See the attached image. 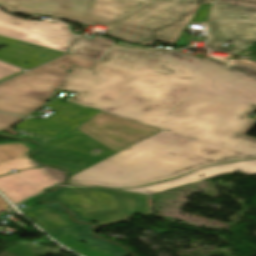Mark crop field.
Segmentation results:
<instances>
[{
    "label": "crop field",
    "mask_w": 256,
    "mask_h": 256,
    "mask_svg": "<svg viewBox=\"0 0 256 256\" xmlns=\"http://www.w3.org/2000/svg\"><path fill=\"white\" fill-rule=\"evenodd\" d=\"M78 129L117 152L161 131L103 112L96 114Z\"/></svg>",
    "instance_id": "e52e79f7"
},
{
    "label": "crop field",
    "mask_w": 256,
    "mask_h": 256,
    "mask_svg": "<svg viewBox=\"0 0 256 256\" xmlns=\"http://www.w3.org/2000/svg\"><path fill=\"white\" fill-rule=\"evenodd\" d=\"M0 60L30 69L63 54V52L0 36ZM29 62L28 65H24Z\"/></svg>",
    "instance_id": "d1516ede"
},
{
    "label": "crop field",
    "mask_w": 256,
    "mask_h": 256,
    "mask_svg": "<svg viewBox=\"0 0 256 256\" xmlns=\"http://www.w3.org/2000/svg\"><path fill=\"white\" fill-rule=\"evenodd\" d=\"M96 61L66 55L0 84V111L31 114L44 105L75 65L92 69ZM63 66L64 69L60 68Z\"/></svg>",
    "instance_id": "34b2d1b8"
},
{
    "label": "crop field",
    "mask_w": 256,
    "mask_h": 256,
    "mask_svg": "<svg viewBox=\"0 0 256 256\" xmlns=\"http://www.w3.org/2000/svg\"><path fill=\"white\" fill-rule=\"evenodd\" d=\"M230 64L249 74L256 75V65L254 64H250L248 62H234V61H231Z\"/></svg>",
    "instance_id": "00972430"
},
{
    "label": "crop field",
    "mask_w": 256,
    "mask_h": 256,
    "mask_svg": "<svg viewBox=\"0 0 256 256\" xmlns=\"http://www.w3.org/2000/svg\"><path fill=\"white\" fill-rule=\"evenodd\" d=\"M65 178L66 172L56 168L26 169L0 177V191L16 204Z\"/></svg>",
    "instance_id": "5a996713"
},
{
    "label": "crop field",
    "mask_w": 256,
    "mask_h": 256,
    "mask_svg": "<svg viewBox=\"0 0 256 256\" xmlns=\"http://www.w3.org/2000/svg\"><path fill=\"white\" fill-rule=\"evenodd\" d=\"M94 148L102 151L91 153ZM115 153L117 152L78 130L41 147L32 155L46 164L67 169L72 176Z\"/></svg>",
    "instance_id": "dd49c442"
},
{
    "label": "crop field",
    "mask_w": 256,
    "mask_h": 256,
    "mask_svg": "<svg viewBox=\"0 0 256 256\" xmlns=\"http://www.w3.org/2000/svg\"><path fill=\"white\" fill-rule=\"evenodd\" d=\"M31 150L21 143L0 145V175L15 169L43 166L28 158Z\"/></svg>",
    "instance_id": "cbeb9de0"
},
{
    "label": "crop field",
    "mask_w": 256,
    "mask_h": 256,
    "mask_svg": "<svg viewBox=\"0 0 256 256\" xmlns=\"http://www.w3.org/2000/svg\"><path fill=\"white\" fill-rule=\"evenodd\" d=\"M88 38L79 37L74 44L71 46L70 54L76 55L77 52L82 48V46L87 42Z\"/></svg>",
    "instance_id": "a9b5d70f"
},
{
    "label": "crop field",
    "mask_w": 256,
    "mask_h": 256,
    "mask_svg": "<svg viewBox=\"0 0 256 256\" xmlns=\"http://www.w3.org/2000/svg\"><path fill=\"white\" fill-rule=\"evenodd\" d=\"M44 200L70 205L76 220L97 222L99 227L127 221L136 214L151 216L146 195L125 191L62 187Z\"/></svg>",
    "instance_id": "412701ff"
},
{
    "label": "crop field",
    "mask_w": 256,
    "mask_h": 256,
    "mask_svg": "<svg viewBox=\"0 0 256 256\" xmlns=\"http://www.w3.org/2000/svg\"><path fill=\"white\" fill-rule=\"evenodd\" d=\"M21 72H23V70L8 66L0 62V82Z\"/></svg>",
    "instance_id": "92a150f3"
},
{
    "label": "crop field",
    "mask_w": 256,
    "mask_h": 256,
    "mask_svg": "<svg viewBox=\"0 0 256 256\" xmlns=\"http://www.w3.org/2000/svg\"><path fill=\"white\" fill-rule=\"evenodd\" d=\"M208 36L207 47L224 39L256 41V0H214Z\"/></svg>",
    "instance_id": "f4fd0767"
},
{
    "label": "crop field",
    "mask_w": 256,
    "mask_h": 256,
    "mask_svg": "<svg viewBox=\"0 0 256 256\" xmlns=\"http://www.w3.org/2000/svg\"><path fill=\"white\" fill-rule=\"evenodd\" d=\"M8 207H10L9 204L0 197V212L7 209Z\"/></svg>",
    "instance_id": "4177f3b9"
},
{
    "label": "crop field",
    "mask_w": 256,
    "mask_h": 256,
    "mask_svg": "<svg viewBox=\"0 0 256 256\" xmlns=\"http://www.w3.org/2000/svg\"><path fill=\"white\" fill-rule=\"evenodd\" d=\"M23 212L45 228L80 225L69 218V214L63 206L56 203Z\"/></svg>",
    "instance_id": "5142ce71"
},
{
    "label": "crop field",
    "mask_w": 256,
    "mask_h": 256,
    "mask_svg": "<svg viewBox=\"0 0 256 256\" xmlns=\"http://www.w3.org/2000/svg\"><path fill=\"white\" fill-rule=\"evenodd\" d=\"M0 35L65 52L75 38L62 23L23 20L0 10Z\"/></svg>",
    "instance_id": "d8731c3e"
},
{
    "label": "crop field",
    "mask_w": 256,
    "mask_h": 256,
    "mask_svg": "<svg viewBox=\"0 0 256 256\" xmlns=\"http://www.w3.org/2000/svg\"><path fill=\"white\" fill-rule=\"evenodd\" d=\"M139 122V121H138ZM141 123H143V122H141ZM144 124H146V123H144ZM148 125H150V124H148ZM151 126H153V125H151ZM154 127H157V126H154ZM157 128H159V127H157ZM159 129H161V128H159ZM163 130V129H162Z\"/></svg>",
    "instance_id": "730fd06b"
},
{
    "label": "crop field",
    "mask_w": 256,
    "mask_h": 256,
    "mask_svg": "<svg viewBox=\"0 0 256 256\" xmlns=\"http://www.w3.org/2000/svg\"><path fill=\"white\" fill-rule=\"evenodd\" d=\"M209 7H210V5H200L198 11L196 12V16H195L194 20L188 25V27L192 23H194V22H206L207 21L208 12H209ZM187 28L182 33L180 39L176 43V46L188 45V42H189L191 36L184 35V33L187 30Z\"/></svg>",
    "instance_id": "4a817a6b"
},
{
    "label": "crop field",
    "mask_w": 256,
    "mask_h": 256,
    "mask_svg": "<svg viewBox=\"0 0 256 256\" xmlns=\"http://www.w3.org/2000/svg\"><path fill=\"white\" fill-rule=\"evenodd\" d=\"M232 41L234 43V46H232V47H224L223 45H220V46H214L213 49L219 50V51H224V52H234V53H237V52L245 49L247 46L250 45V44L249 45H245V44H243L242 42H240L238 40H232Z\"/></svg>",
    "instance_id": "dafd665d"
},
{
    "label": "crop field",
    "mask_w": 256,
    "mask_h": 256,
    "mask_svg": "<svg viewBox=\"0 0 256 256\" xmlns=\"http://www.w3.org/2000/svg\"><path fill=\"white\" fill-rule=\"evenodd\" d=\"M199 4H194L193 8L179 18L175 23L154 31L148 37L165 44L174 45L184 27L192 20L196 8Z\"/></svg>",
    "instance_id": "d9b57169"
},
{
    "label": "crop field",
    "mask_w": 256,
    "mask_h": 256,
    "mask_svg": "<svg viewBox=\"0 0 256 256\" xmlns=\"http://www.w3.org/2000/svg\"><path fill=\"white\" fill-rule=\"evenodd\" d=\"M59 90L71 102L164 130L70 177L68 183L135 187L200 167L256 158V77L177 50L110 45L92 70L75 66Z\"/></svg>",
    "instance_id": "8a807250"
},
{
    "label": "crop field",
    "mask_w": 256,
    "mask_h": 256,
    "mask_svg": "<svg viewBox=\"0 0 256 256\" xmlns=\"http://www.w3.org/2000/svg\"><path fill=\"white\" fill-rule=\"evenodd\" d=\"M47 107L58 110L46 120L26 119L15 128L57 138L75 131V127L93 116L97 111L55 100Z\"/></svg>",
    "instance_id": "3316defc"
},
{
    "label": "crop field",
    "mask_w": 256,
    "mask_h": 256,
    "mask_svg": "<svg viewBox=\"0 0 256 256\" xmlns=\"http://www.w3.org/2000/svg\"><path fill=\"white\" fill-rule=\"evenodd\" d=\"M23 120L22 117L0 113V133Z\"/></svg>",
    "instance_id": "214f88e0"
},
{
    "label": "crop field",
    "mask_w": 256,
    "mask_h": 256,
    "mask_svg": "<svg viewBox=\"0 0 256 256\" xmlns=\"http://www.w3.org/2000/svg\"><path fill=\"white\" fill-rule=\"evenodd\" d=\"M91 228L61 241L69 248L87 256H124L127 253L122 247L114 245L106 240L98 239L91 234ZM86 241L89 247L80 242Z\"/></svg>",
    "instance_id": "22f410ed"
},
{
    "label": "crop field",
    "mask_w": 256,
    "mask_h": 256,
    "mask_svg": "<svg viewBox=\"0 0 256 256\" xmlns=\"http://www.w3.org/2000/svg\"><path fill=\"white\" fill-rule=\"evenodd\" d=\"M153 0H0V6L16 13H37L81 24L111 27L126 15ZM194 3L210 0H158L133 13L106 35L119 40L153 46L147 36L175 22Z\"/></svg>",
    "instance_id": "ac0d7876"
},
{
    "label": "crop field",
    "mask_w": 256,
    "mask_h": 256,
    "mask_svg": "<svg viewBox=\"0 0 256 256\" xmlns=\"http://www.w3.org/2000/svg\"><path fill=\"white\" fill-rule=\"evenodd\" d=\"M239 171L244 174L253 175L256 174V160L229 163L224 165H218L214 167H206L199 171L192 172L188 175L180 177L176 180L153 184L151 186L132 188V189H120L126 191H132L143 194H153L170 188L178 187L181 185L189 184L192 182L200 181L203 179Z\"/></svg>",
    "instance_id": "28ad6ade"
},
{
    "label": "crop field",
    "mask_w": 256,
    "mask_h": 256,
    "mask_svg": "<svg viewBox=\"0 0 256 256\" xmlns=\"http://www.w3.org/2000/svg\"><path fill=\"white\" fill-rule=\"evenodd\" d=\"M91 227V225L83 224L79 227L68 228V229H46L55 239L61 241L65 238L73 236L87 228Z\"/></svg>",
    "instance_id": "bc2a9ffb"
},
{
    "label": "crop field",
    "mask_w": 256,
    "mask_h": 256,
    "mask_svg": "<svg viewBox=\"0 0 256 256\" xmlns=\"http://www.w3.org/2000/svg\"><path fill=\"white\" fill-rule=\"evenodd\" d=\"M109 45V43H106L102 40L93 37L88 40V42L78 52L77 56H81L92 60H98Z\"/></svg>",
    "instance_id": "733c2abd"
}]
</instances>
